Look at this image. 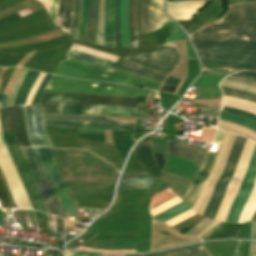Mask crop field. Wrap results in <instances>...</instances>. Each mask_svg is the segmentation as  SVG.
Segmentation results:
<instances>
[{
    "instance_id": "47",
    "label": "crop field",
    "mask_w": 256,
    "mask_h": 256,
    "mask_svg": "<svg viewBox=\"0 0 256 256\" xmlns=\"http://www.w3.org/2000/svg\"><path fill=\"white\" fill-rule=\"evenodd\" d=\"M169 31H170V35L171 36L165 38L166 42L174 41V40H179V39H183L184 38V32L172 20L169 21Z\"/></svg>"
},
{
    "instance_id": "35",
    "label": "crop field",
    "mask_w": 256,
    "mask_h": 256,
    "mask_svg": "<svg viewBox=\"0 0 256 256\" xmlns=\"http://www.w3.org/2000/svg\"><path fill=\"white\" fill-rule=\"evenodd\" d=\"M121 48H130L127 29V0L120 1Z\"/></svg>"
},
{
    "instance_id": "42",
    "label": "crop field",
    "mask_w": 256,
    "mask_h": 256,
    "mask_svg": "<svg viewBox=\"0 0 256 256\" xmlns=\"http://www.w3.org/2000/svg\"><path fill=\"white\" fill-rule=\"evenodd\" d=\"M189 209H191V208L183 202V203H181V204H179V205H177V206H175V207H173V208H171L153 218L156 220L165 222V221H167V220H169V219H171Z\"/></svg>"
},
{
    "instance_id": "44",
    "label": "crop field",
    "mask_w": 256,
    "mask_h": 256,
    "mask_svg": "<svg viewBox=\"0 0 256 256\" xmlns=\"http://www.w3.org/2000/svg\"><path fill=\"white\" fill-rule=\"evenodd\" d=\"M199 10L200 9H173L167 11L175 20H188L192 18Z\"/></svg>"
},
{
    "instance_id": "50",
    "label": "crop field",
    "mask_w": 256,
    "mask_h": 256,
    "mask_svg": "<svg viewBox=\"0 0 256 256\" xmlns=\"http://www.w3.org/2000/svg\"><path fill=\"white\" fill-rule=\"evenodd\" d=\"M115 47H120L119 0H115Z\"/></svg>"
},
{
    "instance_id": "70",
    "label": "crop field",
    "mask_w": 256,
    "mask_h": 256,
    "mask_svg": "<svg viewBox=\"0 0 256 256\" xmlns=\"http://www.w3.org/2000/svg\"><path fill=\"white\" fill-rule=\"evenodd\" d=\"M183 1H208V0H183Z\"/></svg>"
},
{
    "instance_id": "23",
    "label": "crop field",
    "mask_w": 256,
    "mask_h": 256,
    "mask_svg": "<svg viewBox=\"0 0 256 256\" xmlns=\"http://www.w3.org/2000/svg\"><path fill=\"white\" fill-rule=\"evenodd\" d=\"M135 18L137 34L153 31L150 21V0H136Z\"/></svg>"
},
{
    "instance_id": "17",
    "label": "crop field",
    "mask_w": 256,
    "mask_h": 256,
    "mask_svg": "<svg viewBox=\"0 0 256 256\" xmlns=\"http://www.w3.org/2000/svg\"><path fill=\"white\" fill-rule=\"evenodd\" d=\"M201 59H220L256 65V52L222 50V49H196Z\"/></svg>"
},
{
    "instance_id": "68",
    "label": "crop field",
    "mask_w": 256,
    "mask_h": 256,
    "mask_svg": "<svg viewBox=\"0 0 256 256\" xmlns=\"http://www.w3.org/2000/svg\"><path fill=\"white\" fill-rule=\"evenodd\" d=\"M233 76H239V77H243V78H245V79H251V80H254V81H256V79H254V78H249V77L240 76V75H236V74H233Z\"/></svg>"
},
{
    "instance_id": "45",
    "label": "crop field",
    "mask_w": 256,
    "mask_h": 256,
    "mask_svg": "<svg viewBox=\"0 0 256 256\" xmlns=\"http://www.w3.org/2000/svg\"><path fill=\"white\" fill-rule=\"evenodd\" d=\"M80 13H81V0H74V12H73V19L71 24V30L78 33V27H79V19H80ZM76 33L70 31L69 36L72 38H76Z\"/></svg>"
},
{
    "instance_id": "37",
    "label": "crop field",
    "mask_w": 256,
    "mask_h": 256,
    "mask_svg": "<svg viewBox=\"0 0 256 256\" xmlns=\"http://www.w3.org/2000/svg\"><path fill=\"white\" fill-rule=\"evenodd\" d=\"M89 23V0H82V14L77 40L85 42Z\"/></svg>"
},
{
    "instance_id": "16",
    "label": "crop field",
    "mask_w": 256,
    "mask_h": 256,
    "mask_svg": "<svg viewBox=\"0 0 256 256\" xmlns=\"http://www.w3.org/2000/svg\"><path fill=\"white\" fill-rule=\"evenodd\" d=\"M2 133L15 130L20 146H31L25 133L21 107H8L0 109Z\"/></svg>"
},
{
    "instance_id": "52",
    "label": "crop field",
    "mask_w": 256,
    "mask_h": 256,
    "mask_svg": "<svg viewBox=\"0 0 256 256\" xmlns=\"http://www.w3.org/2000/svg\"><path fill=\"white\" fill-rule=\"evenodd\" d=\"M76 207L107 208L109 203L74 202Z\"/></svg>"
},
{
    "instance_id": "64",
    "label": "crop field",
    "mask_w": 256,
    "mask_h": 256,
    "mask_svg": "<svg viewBox=\"0 0 256 256\" xmlns=\"http://www.w3.org/2000/svg\"><path fill=\"white\" fill-rule=\"evenodd\" d=\"M249 256H256V243L251 242V247H250V254Z\"/></svg>"
},
{
    "instance_id": "33",
    "label": "crop field",
    "mask_w": 256,
    "mask_h": 256,
    "mask_svg": "<svg viewBox=\"0 0 256 256\" xmlns=\"http://www.w3.org/2000/svg\"><path fill=\"white\" fill-rule=\"evenodd\" d=\"M218 128L233 134L245 136L256 142V132L249 130L247 128H244L242 126H239L237 124L219 120Z\"/></svg>"
},
{
    "instance_id": "28",
    "label": "crop field",
    "mask_w": 256,
    "mask_h": 256,
    "mask_svg": "<svg viewBox=\"0 0 256 256\" xmlns=\"http://www.w3.org/2000/svg\"><path fill=\"white\" fill-rule=\"evenodd\" d=\"M39 72L29 70L23 79L13 105H24L26 97L35 81Z\"/></svg>"
},
{
    "instance_id": "7",
    "label": "crop field",
    "mask_w": 256,
    "mask_h": 256,
    "mask_svg": "<svg viewBox=\"0 0 256 256\" xmlns=\"http://www.w3.org/2000/svg\"><path fill=\"white\" fill-rule=\"evenodd\" d=\"M20 148L23 152L47 212L66 217L37 149L26 147Z\"/></svg>"
},
{
    "instance_id": "43",
    "label": "crop field",
    "mask_w": 256,
    "mask_h": 256,
    "mask_svg": "<svg viewBox=\"0 0 256 256\" xmlns=\"http://www.w3.org/2000/svg\"><path fill=\"white\" fill-rule=\"evenodd\" d=\"M219 119L237 123L239 125H242L244 127H247L249 129L256 131V122L248 120L241 116H236V115H231V114L221 112Z\"/></svg>"
},
{
    "instance_id": "61",
    "label": "crop field",
    "mask_w": 256,
    "mask_h": 256,
    "mask_svg": "<svg viewBox=\"0 0 256 256\" xmlns=\"http://www.w3.org/2000/svg\"><path fill=\"white\" fill-rule=\"evenodd\" d=\"M222 224H224V223L220 222L219 224H217L208 233H206L203 237H201V239L204 240L205 238H207L211 233H213L216 229H218Z\"/></svg>"
},
{
    "instance_id": "29",
    "label": "crop field",
    "mask_w": 256,
    "mask_h": 256,
    "mask_svg": "<svg viewBox=\"0 0 256 256\" xmlns=\"http://www.w3.org/2000/svg\"><path fill=\"white\" fill-rule=\"evenodd\" d=\"M164 3L165 0H151V21L155 30L167 23Z\"/></svg>"
},
{
    "instance_id": "55",
    "label": "crop field",
    "mask_w": 256,
    "mask_h": 256,
    "mask_svg": "<svg viewBox=\"0 0 256 256\" xmlns=\"http://www.w3.org/2000/svg\"><path fill=\"white\" fill-rule=\"evenodd\" d=\"M64 256H102V254L61 250Z\"/></svg>"
},
{
    "instance_id": "60",
    "label": "crop field",
    "mask_w": 256,
    "mask_h": 256,
    "mask_svg": "<svg viewBox=\"0 0 256 256\" xmlns=\"http://www.w3.org/2000/svg\"><path fill=\"white\" fill-rule=\"evenodd\" d=\"M56 230L63 231V222L62 218L55 216Z\"/></svg>"
},
{
    "instance_id": "73",
    "label": "crop field",
    "mask_w": 256,
    "mask_h": 256,
    "mask_svg": "<svg viewBox=\"0 0 256 256\" xmlns=\"http://www.w3.org/2000/svg\"><path fill=\"white\" fill-rule=\"evenodd\" d=\"M161 104H165V105H168L167 103H163V102H161Z\"/></svg>"
},
{
    "instance_id": "48",
    "label": "crop field",
    "mask_w": 256,
    "mask_h": 256,
    "mask_svg": "<svg viewBox=\"0 0 256 256\" xmlns=\"http://www.w3.org/2000/svg\"><path fill=\"white\" fill-rule=\"evenodd\" d=\"M201 61L203 64H219V65H225V66H230V67L246 68V69L256 71V66H254V65H247V64L228 62V61H208V60H201Z\"/></svg>"
},
{
    "instance_id": "25",
    "label": "crop field",
    "mask_w": 256,
    "mask_h": 256,
    "mask_svg": "<svg viewBox=\"0 0 256 256\" xmlns=\"http://www.w3.org/2000/svg\"><path fill=\"white\" fill-rule=\"evenodd\" d=\"M114 0H105V43L106 47H114Z\"/></svg>"
},
{
    "instance_id": "39",
    "label": "crop field",
    "mask_w": 256,
    "mask_h": 256,
    "mask_svg": "<svg viewBox=\"0 0 256 256\" xmlns=\"http://www.w3.org/2000/svg\"><path fill=\"white\" fill-rule=\"evenodd\" d=\"M134 7H135V0H129V2H128V28H129V34H130V40H131V48L137 47Z\"/></svg>"
},
{
    "instance_id": "58",
    "label": "crop field",
    "mask_w": 256,
    "mask_h": 256,
    "mask_svg": "<svg viewBox=\"0 0 256 256\" xmlns=\"http://www.w3.org/2000/svg\"><path fill=\"white\" fill-rule=\"evenodd\" d=\"M187 50H188V59H197L188 38H187Z\"/></svg>"
},
{
    "instance_id": "22",
    "label": "crop field",
    "mask_w": 256,
    "mask_h": 256,
    "mask_svg": "<svg viewBox=\"0 0 256 256\" xmlns=\"http://www.w3.org/2000/svg\"><path fill=\"white\" fill-rule=\"evenodd\" d=\"M156 182L147 173H123L118 189L153 188Z\"/></svg>"
},
{
    "instance_id": "69",
    "label": "crop field",
    "mask_w": 256,
    "mask_h": 256,
    "mask_svg": "<svg viewBox=\"0 0 256 256\" xmlns=\"http://www.w3.org/2000/svg\"><path fill=\"white\" fill-rule=\"evenodd\" d=\"M202 73H220V72L203 71ZM220 74H227V75H229V73H220Z\"/></svg>"
},
{
    "instance_id": "26",
    "label": "crop field",
    "mask_w": 256,
    "mask_h": 256,
    "mask_svg": "<svg viewBox=\"0 0 256 256\" xmlns=\"http://www.w3.org/2000/svg\"><path fill=\"white\" fill-rule=\"evenodd\" d=\"M72 11L73 0H60L58 18L55 26L64 31L66 34L69 33V28L72 19Z\"/></svg>"
},
{
    "instance_id": "72",
    "label": "crop field",
    "mask_w": 256,
    "mask_h": 256,
    "mask_svg": "<svg viewBox=\"0 0 256 256\" xmlns=\"http://www.w3.org/2000/svg\"><path fill=\"white\" fill-rule=\"evenodd\" d=\"M253 220H256V213L254 214V216H253L251 221H253Z\"/></svg>"
},
{
    "instance_id": "6",
    "label": "crop field",
    "mask_w": 256,
    "mask_h": 256,
    "mask_svg": "<svg viewBox=\"0 0 256 256\" xmlns=\"http://www.w3.org/2000/svg\"><path fill=\"white\" fill-rule=\"evenodd\" d=\"M137 100L133 98L89 94L43 93L39 100V105H41L42 114H59L60 103L136 107Z\"/></svg>"
},
{
    "instance_id": "3",
    "label": "crop field",
    "mask_w": 256,
    "mask_h": 256,
    "mask_svg": "<svg viewBox=\"0 0 256 256\" xmlns=\"http://www.w3.org/2000/svg\"><path fill=\"white\" fill-rule=\"evenodd\" d=\"M44 92L89 93L133 98H146L151 90L138 89L120 84L91 82L53 75Z\"/></svg>"
},
{
    "instance_id": "65",
    "label": "crop field",
    "mask_w": 256,
    "mask_h": 256,
    "mask_svg": "<svg viewBox=\"0 0 256 256\" xmlns=\"http://www.w3.org/2000/svg\"><path fill=\"white\" fill-rule=\"evenodd\" d=\"M251 239L256 240V221L252 222V237Z\"/></svg>"
},
{
    "instance_id": "59",
    "label": "crop field",
    "mask_w": 256,
    "mask_h": 256,
    "mask_svg": "<svg viewBox=\"0 0 256 256\" xmlns=\"http://www.w3.org/2000/svg\"><path fill=\"white\" fill-rule=\"evenodd\" d=\"M221 99H204V100H195L197 104H215V102H220Z\"/></svg>"
},
{
    "instance_id": "20",
    "label": "crop field",
    "mask_w": 256,
    "mask_h": 256,
    "mask_svg": "<svg viewBox=\"0 0 256 256\" xmlns=\"http://www.w3.org/2000/svg\"><path fill=\"white\" fill-rule=\"evenodd\" d=\"M208 149L168 140L167 154L202 162Z\"/></svg>"
},
{
    "instance_id": "19",
    "label": "crop field",
    "mask_w": 256,
    "mask_h": 256,
    "mask_svg": "<svg viewBox=\"0 0 256 256\" xmlns=\"http://www.w3.org/2000/svg\"><path fill=\"white\" fill-rule=\"evenodd\" d=\"M216 155L207 153L193 183L190 185L188 191L182 198V200L187 203L190 207H193L196 198L200 192L201 185L208 177V174L214 164Z\"/></svg>"
},
{
    "instance_id": "40",
    "label": "crop field",
    "mask_w": 256,
    "mask_h": 256,
    "mask_svg": "<svg viewBox=\"0 0 256 256\" xmlns=\"http://www.w3.org/2000/svg\"><path fill=\"white\" fill-rule=\"evenodd\" d=\"M219 221L210 220V219H204L200 223H198L196 226H194L191 230H189L184 235H190V236H197L201 237L206 232H208L212 227H214Z\"/></svg>"
},
{
    "instance_id": "38",
    "label": "crop field",
    "mask_w": 256,
    "mask_h": 256,
    "mask_svg": "<svg viewBox=\"0 0 256 256\" xmlns=\"http://www.w3.org/2000/svg\"><path fill=\"white\" fill-rule=\"evenodd\" d=\"M103 42H104V0H98L96 44L103 46Z\"/></svg>"
},
{
    "instance_id": "12",
    "label": "crop field",
    "mask_w": 256,
    "mask_h": 256,
    "mask_svg": "<svg viewBox=\"0 0 256 256\" xmlns=\"http://www.w3.org/2000/svg\"><path fill=\"white\" fill-rule=\"evenodd\" d=\"M74 201L111 202L114 185L66 183Z\"/></svg>"
},
{
    "instance_id": "24",
    "label": "crop field",
    "mask_w": 256,
    "mask_h": 256,
    "mask_svg": "<svg viewBox=\"0 0 256 256\" xmlns=\"http://www.w3.org/2000/svg\"><path fill=\"white\" fill-rule=\"evenodd\" d=\"M43 120H75V121H91V122H106L115 124L134 125L135 122L107 120L101 116H88V115H42Z\"/></svg>"
},
{
    "instance_id": "51",
    "label": "crop field",
    "mask_w": 256,
    "mask_h": 256,
    "mask_svg": "<svg viewBox=\"0 0 256 256\" xmlns=\"http://www.w3.org/2000/svg\"><path fill=\"white\" fill-rule=\"evenodd\" d=\"M26 72H27V69H22L20 75L18 76V78H17V80H16V82H15V84H14V87H13V89H12V91H11V94H10V97H9L8 106H9V105H12L14 96H15V94H16V92H17V90H18V87H19V85H20V83H21L23 77L25 76Z\"/></svg>"
},
{
    "instance_id": "9",
    "label": "crop field",
    "mask_w": 256,
    "mask_h": 256,
    "mask_svg": "<svg viewBox=\"0 0 256 256\" xmlns=\"http://www.w3.org/2000/svg\"><path fill=\"white\" fill-rule=\"evenodd\" d=\"M246 140H247L246 138H242L239 136L237 137V139L231 149V152L229 154V157L227 159V162L225 164L223 172L215 185L212 198H211V200L208 204V207L203 215L204 217L211 218V219L214 218V216L220 206L222 198L224 196L226 185L233 175L236 163L239 159V156L242 152V148H243Z\"/></svg>"
},
{
    "instance_id": "15",
    "label": "crop field",
    "mask_w": 256,
    "mask_h": 256,
    "mask_svg": "<svg viewBox=\"0 0 256 256\" xmlns=\"http://www.w3.org/2000/svg\"><path fill=\"white\" fill-rule=\"evenodd\" d=\"M24 109L32 145L53 147L42 122L40 106H24Z\"/></svg>"
},
{
    "instance_id": "30",
    "label": "crop field",
    "mask_w": 256,
    "mask_h": 256,
    "mask_svg": "<svg viewBox=\"0 0 256 256\" xmlns=\"http://www.w3.org/2000/svg\"><path fill=\"white\" fill-rule=\"evenodd\" d=\"M201 244L208 253V255L211 256L203 243ZM201 244L163 251L162 256H208Z\"/></svg>"
},
{
    "instance_id": "18",
    "label": "crop field",
    "mask_w": 256,
    "mask_h": 256,
    "mask_svg": "<svg viewBox=\"0 0 256 256\" xmlns=\"http://www.w3.org/2000/svg\"><path fill=\"white\" fill-rule=\"evenodd\" d=\"M43 122L45 126L79 128L78 132L87 133V134L104 135L105 129L135 131V126H125V125H111V124L90 123V122H55V121H43Z\"/></svg>"
},
{
    "instance_id": "21",
    "label": "crop field",
    "mask_w": 256,
    "mask_h": 256,
    "mask_svg": "<svg viewBox=\"0 0 256 256\" xmlns=\"http://www.w3.org/2000/svg\"><path fill=\"white\" fill-rule=\"evenodd\" d=\"M195 48H223L256 51V41L192 40Z\"/></svg>"
},
{
    "instance_id": "71",
    "label": "crop field",
    "mask_w": 256,
    "mask_h": 256,
    "mask_svg": "<svg viewBox=\"0 0 256 256\" xmlns=\"http://www.w3.org/2000/svg\"><path fill=\"white\" fill-rule=\"evenodd\" d=\"M175 1H182V0H168V2H175Z\"/></svg>"
},
{
    "instance_id": "66",
    "label": "crop field",
    "mask_w": 256,
    "mask_h": 256,
    "mask_svg": "<svg viewBox=\"0 0 256 256\" xmlns=\"http://www.w3.org/2000/svg\"><path fill=\"white\" fill-rule=\"evenodd\" d=\"M7 98L8 97L3 95V99H2V101H0V102H2V107H6L7 106Z\"/></svg>"
},
{
    "instance_id": "27",
    "label": "crop field",
    "mask_w": 256,
    "mask_h": 256,
    "mask_svg": "<svg viewBox=\"0 0 256 256\" xmlns=\"http://www.w3.org/2000/svg\"><path fill=\"white\" fill-rule=\"evenodd\" d=\"M137 108L116 107V106H100L98 115L107 116H125V117H141L147 118L148 114L136 113Z\"/></svg>"
},
{
    "instance_id": "56",
    "label": "crop field",
    "mask_w": 256,
    "mask_h": 256,
    "mask_svg": "<svg viewBox=\"0 0 256 256\" xmlns=\"http://www.w3.org/2000/svg\"><path fill=\"white\" fill-rule=\"evenodd\" d=\"M225 101L242 104V105L248 106L250 108L256 109V104L248 102V101H244V100H240V99H235V98H231V97H226Z\"/></svg>"
},
{
    "instance_id": "4",
    "label": "crop field",
    "mask_w": 256,
    "mask_h": 256,
    "mask_svg": "<svg viewBox=\"0 0 256 256\" xmlns=\"http://www.w3.org/2000/svg\"><path fill=\"white\" fill-rule=\"evenodd\" d=\"M0 167L18 208L33 209L9 152L2 140L0 130ZM0 169V202L3 207L17 208Z\"/></svg>"
},
{
    "instance_id": "67",
    "label": "crop field",
    "mask_w": 256,
    "mask_h": 256,
    "mask_svg": "<svg viewBox=\"0 0 256 256\" xmlns=\"http://www.w3.org/2000/svg\"><path fill=\"white\" fill-rule=\"evenodd\" d=\"M243 1H256V0H229V3H231V2H243Z\"/></svg>"
},
{
    "instance_id": "74",
    "label": "crop field",
    "mask_w": 256,
    "mask_h": 256,
    "mask_svg": "<svg viewBox=\"0 0 256 256\" xmlns=\"http://www.w3.org/2000/svg\"><path fill=\"white\" fill-rule=\"evenodd\" d=\"M1 104V103H0Z\"/></svg>"
},
{
    "instance_id": "53",
    "label": "crop field",
    "mask_w": 256,
    "mask_h": 256,
    "mask_svg": "<svg viewBox=\"0 0 256 256\" xmlns=\"http://www.w3.org/2000/svg\"><path fill=\"white\" fill-rule=\"evenodd\" d=\"M154 151L165 153L166 140L152 138Z\"/></svg>"
},
{
    "instance_id": "10",
    "label": "crop field",
    "mask_w": 256,
    "mask_h": 256,
    "mask_svg": "<svg viewBox=\"0 0 256 256\" xmlns=\"http://www.w3.org/2000/svg\"><path fill=\"white\" fill-rule=\"evenodd\" d=\"M235 138H236V135L228 134V133L225 134V137L223 139L222 145L217 155L215 164L209 174V177L204 182L201 189V193L193 207V210H195L200 215H203L206 209V206L211 198L216 180L218 179V177L222 172V169L224 167V164L226 162V159L228 157V154L230 152V149L232 147V144Z\"/></svg>"
},
{
    "instance_id": "49",
    "label": "crop field",
    "mask_w": 256,
    "mask_h": 256,
    "mask_svg": "<svg viewBox=\"0 0 256 256\" xmlns=\"http://www.w3.org/2000/svg\"><path fill=\"white\" fill-rule=\"evenodd\" d=\"M205 2H176L168 3L167 9L172 8H202Z\"/></svg>"
},
{
    "instance_id": "31",
    "label": "crop field",
    "mask_w": 256,
    "mask_h": 256,
    "mask_svg": "<svg viewBox=\"0 0 256 256\" xmlns=\"http://www.w3.org/2000/svg\"><path fill=\"white\" fill-rule=\"evenodd\" d=\"M221 85L256 93V82H253L250 80H244V79L228 76L222 81Z\"/></svg>"
},
{
    "instance_id": "41",
    "label": "crop field",
    "mask_w": 256,
    "mask_h": 256,
    "mask_svg": "<svg viewBox=\"0 0 256 256\" xmlns=\"http://www.w3.org/2000/svg\"><path fill=\"white\" fill-rule=\"evenodd\" d=\"M97 16V0H90V23L86 42L95 44V26Z\"/></svg>"
},
{
    "instance_id": "14",
    "label": "crop field",
    "mask_w": 256,
    "mask_h": 256,
    "mask_svg": "<svg viewBox=\"0 0 256 256\" xmlns=\"http://www.w3.org/2000/svg\"><path fill=\"white\" fill-rule=\"evenodd\" d=\"M255 177H256V147L252 155L251 161L249 163L248 169L246 171V176L231 206L230 213L226 222H234V223L238 222V218L241 213V210L251 192V188L255 180Z\"/></svg>"
},
{
    "instance_id": "5",
    "label": "crop field",
    "mask_w": 256,
    "mask_h": 256,
    "mask_svg": "<svg viewBox=\"0 0 256 256\" xmlns=\"http://www.w3.org/2000/svg\"><path fill=\"white\" fill-rule=\"evenodd\" d=\"M72 49L75 50H79L85 53H89L95 56H99L105 59H109L114 61L116 56H112L106 53H102L99 51H95L89 48H85L79 45H73L71 47ZM69 49L67 56L83 62V63H87V64H91V65H97V66H103V67H107V68H111V69H115V70H121V71H126L135 75H139L154 81H158V82H163V80L165 79V77L167 76V74L143 67L141 65H138L136 63H133L131 61H128L126 59H122L117 57L116 60L114 62L109 61V60H105L99 57H95L89 54H85L79 51H75Z\"/></svg>"
},
{
    "instance_id": "36",
    "label": "crop field",
    "mask_w": 256,
    "mask_h": 256,
    "mask_svg": "<svg viewBox=\"0 0 256 256\" xmlns=\"http://www.w3.org/2000/svg\"><path fill=\"white\" fill-rule=\"evenodd\" d=\"M255 211H256V180L253 185L252 192L242 210L238 223L250 221Z\"/></svg>"
},
{
    "instance_id": "2",
    "label": "crop field",
    "mask_w": 256,
    "mask_h": 256,
    "mask_svg": "<svg viewBox=\"0 0 256 256\" xmlns=\"http://www.w3.org/2000/svg\"><path fill=\"white\" fill-rule=\"evenodd\" d=\"M55 74L93 79L97 81L116 82L136 85L158 90L161 83L141 78L126 72L110 70L102 67L86 65L65 56Z\"/></svg>"
},
{
    "instance_id": "8",
    "label": "crop field",
    "mask_w": 256,
    "mask_h": 256,
    "mask_svg": "<svg viewBox=\"0 0 256 256\" xmlns=\"http://www.w3.org/2000/svg\"><path fill=\"white\" fill-rule=\"evenodd\" d=\"M158 47L159 49L131 54L126 58L138 64L170 74L179 65L181 61L180 54L174 42Z\"/></svg>"
},
{
    "instance_id": "11",
    "label": "crop field",
    "mask_w": 256,
    "mask_h": 256,
    "mask_svg": "<svg viewBox=\"0 0 256 256\" xmlns=\"http://www.w3.org/2000/svg\"><path fill=\"white\" fill-rule=\"evenodd\" d=\"M65 212L77 213L49 149L37 148Z\"/></svg>"
},
{
    "instance_id": "32",
    "label": "crop field",
    "mask_w": 256,
    "mask_h": 256,
    "mask_svg": "<svg viewBox=\"0 0 256 256\" xmlns=\"http://www.w3.org/2000/svg\"><path fill=\"white\" fill-rule=\"evenodd\" d=\"M99 106L61 104L60 114L97 115Z\"/></svg>"
},
{
    "instance_id": "1",
    "label": "crop field",
    "mask_w": 256,
    "mask_h": 256,
    "mask_svg": "<svg viewBox=\"0 0 256 256\" xmlns=\"http://www.w3.org/2000/svg\"><path fill=\"white\" fill-rule=\"evenodd\" d=\"M221 19L192 33L193 39L256 40V2L229 4Z\"/></svg>"
},
{
    "instance_id": "54",
    "label": "crop field",
    "mask_w": 256,
    "mask_h": 256,
    "mask_svg": "<svg viewBox=\"0 0 256 256\" xmlns=\"http://www.w3.org/2000/svg\"><path fill=\"white\" fill-rule=\"evenodd\" d=\"M51 76L49 75H46V77L44 78L42 84L40 85L38 91L36 92L35 96H34V99L32 101V104L31 105H38V99L41 95V93L43 92L46 84L48 83L49 79H50Z\"/></svg>"
},
{
    "instance_id": "57",
    "label": "crop field",
    "mask_w": 256,
    "mask_h": 256,
    "mask_svg": "<svg viewBox=\"0 0 256 256\" xmlns=\"http://www.w3.org/2000/svg\"><path fill=\"white\" fill-rule=\"evenodd\" d=\"M250 226H251V222L242 224L241 238H248V239H250Z\"/></svg>"
},
{
    "instance_id": "46",
    "label": "crop field",
    "mask_w": 256,
    "mask_h": 256,
    "mask_svg": "<svg viewBox=\"0 0 256 256\" xmlns=\"http://www.w3.org/2000/svg\"><path fill=\"white\" fill-rule=\"evenodd\" d=\"M220 87H221L224 95L234 96L237 98L256 102V95H254V94H250V93H246V92H242V91H238V90H234V89H230V88H226V87H222V86H220Z\"/></svg>"
},
{
    "instance_id": "34",
    "label": "crop field",
    "mask_w": 256,
    "mask_h": 256,
    "mask_svg": "<svg viewBox=\"0 0 256 256\" xmlns=\"http://www.w3.org/2000/svg\"><path fill=\"white\" fill-rule=\"evenodd\" d=\"M241 224H231L225 223L218 230H216L213 234H211L207 239L214 238H235L240 234ZM205 239V240H207Z\"/></svg>"
},
{
    "instance_id": "13",
    "label": "crop field",
    "mask_w": 256,
    "mask_h": 256,
    "mask_svg": "<svg viewBox=\"0 0 256 256\" xmlns=\"http://www.w3.org/2000/svg\"><path fill=\"white\" fill-rule=\"evenodd\" d=\"M8 150L11 154V157L15 163V166L19 172V175L23 181V184L27 190V193L31 199L34 208L36 210L46 212L20 148L8 147Z\"/></svg>"
},
{
    "instance_id": "63",
    "label": "crop field",
    "mask_w": 256,
    "mask_h": 256,
    "mask_svg": "<svg viewBox=\"0 0 256 256\" xmlns=\"http://www.w3.org/2000/svg\"><path fill=\"white\" fill-rule=\"evenodd\" d=\"M224 134H225L224 132H221V131L218 130V132H217V134H216V136H215V138H214L213 141H216V142H220V143H221Z\"/></svg>"
},
{
    "instance_id": "62",
    "label": "crop field",
    "mask_w": 256,
    "mask_h": 256,
    "mask_svg": "<svg viewBox=\"0 0 256 256\" xmlns=\"http://www.w3.org/2000/svg\"><path fill=\"white\" fill-rule=\"evenodd\" d=\"M236 74H240V75H245V76H249V77H254L256 78V72H251V71H241L238 72Z\"/></svg>"
}]
</instances>
